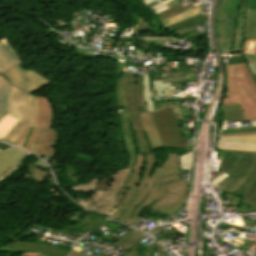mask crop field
<instances>
[{
	"label": "crop field",
	"instance_id": "8a807250",
	"mask_svg": "<svg viewBox=\"0 0 256 256\" xmlns=\"http://www.w3.org/2000/svg\"><path fill=\"white\" fill-rule=\"evenodd\" d=\"M218 172L229 175L218 189L243 197L241 204L249 205V211H256V152L222 150Z\"/></svg>",
	"mask_w": 256,
	"mask_h": 256
},
{
	"label": "crop field",
	"instance_id": "ac0d7876",
	"mask_svg": "<svg viewBox=\"0 0 256 256\" xmlns=\"http://www.w3.org/2000/svg\"><path fill=\"white\" fill-rule=\"evenodd\" d=\"M174 89L176 88L149 90V73L139 75L124 72L115 81L117 106L123 107L124 113L158 110V101L171 100L169 97Z\"/></svg>",
	"mask_w": 256,
	"mask_h": 256
},
{
	"label": "crop field",
	"instance_id": "34b2d1b8",
	"mask_svg": "<svg viewBox=\"0 0 256 256\" xmlns=\"http://www.w3.org/2000/svg\"><path fill=\"white\" fill-rule=\"evenodd\" d=\"M188 198L187 181H173L141 189L118 220L133 225L141 211L149 209L172 214Z\"/></svg>",
	"mask_w": 256,
	"mask_h": 256
},
{
	"label": "crop field",
	"instance_id": "412701ff",
	"mask_svg": "<svg viewBox=\"0 0 256 256\" xmlns=\"http://www.w3.org/2000/svg\"><path fill=\"white\" fill-rule=\"evenodd\" d=\"M113 172L116 174L100 177L93 195L84 197L78 203L112 217L133 191L132 189H123L132 174V169L116 170Z\"/></svg>",
	"mask_w": 256,
	"mask_h": 256
},
{
	"label": "crop field",
	"instance_id": "f4fd0767",
	"mask_svg": "<svg viewBox=\"0 0 256 256\" xmlns=\"http://www.w3.org/2000/svg\"><path fill=\"white\" fill-rule=\"evenodd\" d=\"M154 160L155 154L136 155L133 174L124 187L133 188L135 190L113 218L118 219L120 214L128 207L139 191L136 190V188H143L147 185L178 179L177 154H168L167 161L164 162L161 168H159L161 158L157 168H153Z\"/></svg>",
	"mask_w": 256,
	"mask_h": 256
},
{
	"label": "crop field",
	"instance_id": "dd49c442",
	"mask_svg": "<svg viewBox=\"0 0 256 256\" xmlns=\"http://www.w3.org/2000/svg\"><path fill=\"white\" fill-rule=\"evenodd\" d=\"M224 104H240L245 119L256 120V82L246 64L226 65Z\"/></svg>",
	"mask_w": 256,
	"mask_h": 256
},
{
	"label": "crop field",
	"instance_id": "e52e79f7",
	"mask_svg": "<svg viewBox=\"0 0 256 256\" xmlns=\"http://www.w3.org/2000/svg\"><path fill=\"white\" fill-rule=\"evenodd\" d=\"M35 97L11 87L9 116L19 119L2 141L14 144L28 124L34 125Z\"/></svg>",
	"mask_w": 256,
	"mask_h": 256
},
{
	"label": "crop field",
	"instance_id": "d8731c3e",
	"mask_svg": "<svg viewBox=\"0 0 256 256\" xmlns=\"http://www.w3.org/2000/svg\"><path fill=\"white\" fill-rule=\"evenodd\" d=\"M151 114L164 147H179L190 152L171 108H164Z\"/></svg>",
	"mask_w": 256,
	"mask_h": 256
},
{
	"label": "crop field",
	"instance_id": "5a996713",
	"mask_svg": "<svg viewBox=\"0 0 256 256\" xmlns=\"http://www.w3.org/2000/svg\"><path fill=\"white\" fill-rule=\"evenodd\" d=\"M9 82L21 90L31 93L33 90H37L49 83L48 79L37 73L36 71L29 69L24 70L19 65L16 67L1 73Z\"/></svg>",
	"mask_w": 256,
	"mask_h": 256
},
{
	"label": "crop field",
	"instance_id": "3316defc",
	"mask_svg": "<svg viewBox=\"0 0 256 256\" xmlns=\"http://www.w3.org/2000/svg\"><path fill=\"white\" fill-rule=\"evenodd\" d=\"M243 0H219L215 14L217 35L234 34L237 10Z\"/></svg>",
	"mask_w": 256,
	"mask_h": 256
},
{
	"label": "crop field",
	"instance_id": "28ad6ade",
	"mask_svg": "<svg viewBox=\"0 0 256 256\" xmlns=\"http://www.w3.org/2000/svg\"><path fill=\"white\" fill-rule=\"evenodd\" d=\"M0 251L3 252H37L44 256H66L69 249L55 247L53 245L33 242H13L6 245Z\"/></svg>",
	"mask_w": 256,
	"mask_h": 256
},
{
	"label": "crop field",
	"instance_id": "d1516ede",
	"mask_svg": "<svg viewBox=\"0 0 256 256\" xmlns=\"http://www.w3.org/2000/svg\"><path fill=\"white\" fill-rule=\"evenodd\" d=\"M52 149L53 129L38 128L30 151L42 155L49 162Z\"/></svg>",
	"mask_w": 256,
	"mask_h": 256
},
{
	"label": "crop field",
	"instance_id": "22f410ed",
	"mask_svg": "<svg viewBox=\"0 0 256 256\" xmlns=\"http://www.w3.org/2000/svg\"><path fill=\"white\" fill-rule=\"evenodd\" d=\"M27 155L26 152L15 147L0 152V179L12 171Z\"/></svg>",
	"mask_w": 256,
	"mask_h": 256
},
{
	"label": "crop field",
	"instance_id": "cbeb9de0",
	"mask_svg": "<svg viewBox=\"0 0 256 256\" xmlns=\"http://www.w3.org/2000/svg\"><path fill=\"white\" fill-rule=\"evenodd\" d=\"M21 63L20 57L5 39H0V73Z\"/></svg>",
	"mask_w": 256,
	"mask_h": 256
},
{
	"label": "crop field",
	"instance_id": "5142ce71",
	"mask_svg": "<svg viewBox=\"0 0 256 256\" xmlns=\"http://www.w3.org/2000/svg\"><path fill=\"white\" fill-rule=\"evenodd\" d=\"M139 116H140L144 133L151 151L153 152L157 148L163 147L159 139L151 114L144 113V114H139Z\"/></svg>",
	"mask_w": 256,
	"mask_h": 256
},
{
	"label": "crop field",
	"instance_id": "d9b57169",
	"mask_svg": "<svg viewBox=\"0 0 256 256\" xmlns=\"http://www.w3.org/2000/svg\"><path fill=\"white\" fill-rule=\"evenodd\" d=\"M189 74H191V72H162V81H153V89L182 86L183 82H185V77H183V75L187 76Z\"/></svg>",
	"mask_w": 256,
	"mask_h": 256
},
{
	"label": "crop field",
	"instance_id": "733c2abd",
	"mask_svg": "<svg viewBox=\"0 0 256 256\" xmlns=\"http://www.w3.org/2000/svg\"><path fill=\"white\" fill-rule=\"evenodd\" d=\"M132 128L136 134L140 154H150L138 114H128Z\"/></svg>",
	"mask_w": 256,
	"mask_h": 256
},
{
	"label": "crop field",
	"instance_id": "4a817a6b",
	"mask_svg": "<svg viewBox=\"0 0 256 256\" xmlns=\"http://www.w3.org/2000/svg\"><path fill=\"white\" fill-rule=\"evenodd\" d=\"M120 117H121V121H122V126H123L124 135H125L127 149H128V152L130 153V158H129L127 168H132L135 163V154H137L136 150H135V144H134V140H133V137H132V134L130 131V125H129V120H128L127 114L120 115Z\"/></svg>",
	"mask_w": 256,
	"mask_h": 256
},
{
	"label": "crop field",
	"instance_id": "bc2a9ffb",
	"mask_svg": "<svg viewBox=\"0 0 256 256\" xmlns=\"http://www.w3.org/2000/svg\"><path fill=\"white\" fill-rule=\"evenodd\" d=\"M244 10H245V0L238 11L232 53L241 51V48H242Z\"/></svg>",
	"mask_w": 256,
	"mask_h": 256
},
{
	"label": "crop field",
	"instance_id": "214f88e0",
	"mask_svg": "<svg viewBox=\"0 0 256 256\" xmlns=\"http://www.w3.org/2000/svg\"><path fill=\"white\" fill-rule=\"evenodd\" d=\"M52 122V109L49 102L40 97L39 127L50 128Z\"/></svg>",
	"mask_w": 256,
	"mask_h": 256
},
{
	"label": "crop field",
	"instance_id": "92a150f3",
	"mask_svg": "<svg viewBox=\"0 0 256 256\" xmlns=\"http://www.w3.org/2000/svg\"><path fill=\"white\" fill-rule=\"evenodd\" d=\"M4 80L0 76V121L8 113L9 92L11 87V85Z\"/></svg>",
	"mask_w": 256,
	"mask_h": 256
},
{
	"label": "crop field",
	"instance_id": "dafd665d",
	"mask_svg": "<svg viewBox=\"0 0 256 256\" xmlns=\"http://www.w3.org/2000/svg\"><path fill=\"white\" fill-rule=\"evenodd\" d=\"M146 236L139 232H135L133 229L127 232L125 236H123L118 242L115 243V245L129 250L131 247H133L135 244H137L139 241L144 239Z\"/></svg>",
	"mask_w": 256,
	"mask_h": 256
},
{
	"label": "crop field",
	"instance_id": "00972430",
	"mask_svg": "<svg viewBox=\"0 0 256 256\" xmlns=\"http://www.w3.org/2000/svg\"><path fill=\"white\" fill-rule=\"evenodd\" d=\"M207 18H208V15H201V14H199V15H197L195 17H192L190 19H186L184 21H181L179 23L173 24V25L168 26L166 28L168 30H170L172 33H174L176 31L183 30V29L192 27L194 25L201 24L203 22H207Z\"/></svg>",
	"mask_w": 256,
	"mask_h": 256
},
{
	"label": "crop field",
	"instance_id": "a9b5d70f",
	"mask_svg": "<svg viewBox=\"0 0 256 256\" xmlns=\"http://www.w3.org/2000/svg\"><path fill=\"white\" fill-rule=\"evenodd\" d=\"M218 144L256 145V135L219 138Z\"/></svg>",
	"mask_w": 256,
	"mask_h": 256
},
{
	"label": "crop field",
	"instance_id": "4177f3b9",
	"mask_svg": "<svg viewBox=\"0 0 256 256\" xmlns=\"http://www.w3.org/2000/svg\"><path fill=\"white\" fill-rule=\"evenodd\" d=\"M223 112V120L236 119V121L245 120L239 105H225L220 107Z\"/></svg>",
	"mask_w": 256,
	"mask_h": 256
},
{
	"label": "crop field",
	"instance_id": "730fd06b",
	"mask_svg": "<svg viewBox=\"0 0 256 256\" xmlns=\"http://www.w3.org/2000/svg\"><path fill=\"white\" fill-rule=\"evenodd\" d=\"M234 35L217 36L220 53L231 54Z\"/></svg>",
	"mask_w": 256,
	"mask_h": 256
},
{
	"label": "crop field",
	"instance_id": "eef30255",
	"mask_svg": "<svg viewBox=\"0 0 256 256\" xmlns=\"http://www.w3.org/2000/svg\"><path fill=\"white\" fill-rule=\"evenodd\" d=\"M30 168L26 173L25 175L23 176V178H27V179H30V180H34L36 181V179L38 177L44 179V180H48V179H51V175L50 173L48 172H42L40 171L39 169L35 168L34 166L30 165ZM50 182V180H49ZM51 183V182H50Z\"/></svg>",
	"mask_w": 256,
	"mask_h": 256
},
{
	"label": "crop field",
	"instance_id": "ae1a2a85",
	"mask_svg": "<svg viewBox=\"0 0 256 256\" xmlns=\"http://www.w3.org/2000/svg\"><path fill=\"white\" fill-rule=\"evenodd\" d=\"M244 37L256 39V20L245 19Z\"/></svg>",
	"mask_w": 256,
	"mask_h": 256
},
{
	"label": "crop field",
	"instance_id": "d3111659",
	"mask_svg": "<svg viewBox=\"0 0 256 256\" xmlns=\"http://www.w3.org/2000/svg\"><path fill=\"white\" fill-rule=\"evenodd\" d=\"M17 119H14L9 116H5L0 122V140L3 136L9 131V129L15 124Z\"/></svg>",
	"mask_w": 256,
	"mask_h": 256
},
{
	"label": "crop field",
	"instance_id": "750c4746",
	"mask_svg": "<svg viewBox=\"0 0 256 256\" xmlns=\"http://www.w3.org/2000/svg\"><path fill=\"white\" fill-rule=\"evenodd\" d=\"M200 8L192 10V11L187 12V13H184V14H182L180 16H177L175 18H172V19H170L168 21H165V22H163V25H164V27H166V26L171 25L173 23L179 22V21L184 20L186 18H190V17H192L194 15H197V14L200 13Z\"/></svg>",
	"mask_w": 256,
	"mask_h": 256
},
{
	"label": "crop field",
	"instance_id": "bd1437ed",
	"mask_svg": "<svg viewBox=\"0 0 256 256\" xmlns=\"http://www.w3.org/2000/svg\"><path fill=\"white\" fill-rule=\"evenodd\" d=\"M250 124H251V127H235V128L222 130L221 135L232 134V133H240V132L256 131V121H250Z\"/></svg>",
	"mask_w": 256,
	"mask_h": 256
},
{
	"label": "crop field",
	"instance_id": "1d83c4d3",
	"mask_svg": "<svg viewBox=\"0 0 256 256\" xmlns=\"http://www.w3.org/2000/svg\"><path fill=\"white\" fill-rule=\"evenodd\" d=\"M105 221H106L105 218L93 215L91 220L89 221V223L86 226H84V227H82V228H80L78 230H86V231H88V230H91L93 228H96L98 226L103 225Z\"/></svg>",
	"mask_w": 256,
	"mask_h": 256
},
{
	"label": "crop field",
	"instance_id": "120bbe31",
	"mask_svg": "<svg viewBox=\"0 0 256 256\" xmlns=\"http://www.w3.org/2000/svg\"><path fill=\"white\" fill-rule=\"evenodd\" d=\"M98 178L92 179L90 182L83 184V185H78V186H73V188L77 193L81 192H87V191H93L96 183H97Z\"/></svg>",
	"mask_w": 256,
	"mask_h": 256
},
{
	"label": "crop field",
	"instance_id": "d32e631a",
	"mask_svg": "<svg viewBox=\"0 0 256 256\" xmlns=\"http://www.w3.org/2000/svg\"><path fill=\"white\" fill-rule=\"evenodd\" d=\"M218 148L228 150L256 151V146L218 145Z\"/></svg>",
	"mask_w": 256,
	"mask_h": 256
},
{
	"label": "crop field",
	"instance_id": "5866460e",
	"mask_svg": "<svg viewBox=\"0 0 256 256\" xmlns=\"http://www.w3.org/2000/svg\"><path fill=\"white\" fill-rule=\"evenodd\" d=\"M38 107H39V97H36V109H35V127H34V130L32 132V135L30 137V140L27 144V147H26V150H30V147H31V144H32V141H33V138H34V135H35V132H36V129L38 127Z\"/></svg>",
	"mask_w": 256,
	"mask_h": 256
},
{
	"label": "crop field",
	"instance_id": "028f5c9d",
	"mask_svg": "<svg viewBox=\"0 0 256 256\" xmlns=\"http://www.w3.org/2000/svg\"><path fill=\"white\" fill-rule=\"evenodd\" d=\"M200 6H202V4H200V5H198V6H195V7H192V8H190V9H188L189 6H187V7H185L184 9H181V10L175 12V13L166 15V16L161 17V18H159V19L163 22V21H165V20H167V19H170V18H172V17H175V16H177V15H179V14H182V13H184V12H187V11H189V10L195 9V8H197V7H200Z\"/></svg>",
	"mask_w": 256,
	"mask_h": 256
},
{
	"label": "crop field",
	"instance_id": "e1f06a70",
	"mask_svg": "<svg viewBox=\"0 0 256 256\" xmlns=\"http://www.w3.org/2000/svg\"><path fill=\"white\" fill-rule=\"evenodd\" d=\"M169 1H171V0H166V1H164V2L154 6L152 8H149V9L151 11H153L154 13H158V12H160L162 10H165V9L169 8L168 5L171 4Z\"/></svg>",
	"mask_w": 256,
	"mask_h": 256
},
{
	"label": "crop field",
	"instance_id": "0bd39190",
	"mask_svg": "<svg viewBox=\"0 0 256 256\" xmlns=\"http://www.w3.org/2000/svg\"><path fill=\"white\" fill-rule=\"evenodd\" d=\"M181 8H183V6L181 4H178V5H176V6L172 7V8H169V9H167L165 11H162V12L156 14V16L159 18V17L164 16L166 14L175 12V11L181 9Z\"/></svg>",
	"mask_w": 256,
	"mask_h": 256
},
{
	"label": "crop field",
	"instance_id": "b80d0937",
	"mask_svg": "<svg viewBox=\"0 0 256 256\" xmlns=\"http://www.w3.org/2000/svg\"><path fill=\"white\" fill-rule=\"evenodd\" d=\"M34 126H30V128L28 129L27 133L25 134V136L23 137L22 141L20 142L19 146L20 148H25L27 142H28V139L31 135V132H32V129H33Z\"/></svg>",
	"mask_w": 256,
	"mask_h": 256
},
{
	"label": "crop field",
	"instance_id": "c035e120",
	"mask_svg": "<svg viewBox=\"0 0 256 256\" xmlns=\"http://www.w3.org/2000/svg\"><path fill=\"white\" fill-rule=\"evenodd\" d=\"M148 241V240H147ZM147 241L143 242L141 245H139L137 248H139L140 246H142L144 243H146ZM137 248H135L134 250L130 251L129 253H127L125 256H133L134 254H136L138 251L136 250ZM69 256H89V255H85V254H81L78 252H74L72 251L70 253Z\"/></svg>",
	"mask_w": 256,
	"mask_h": 256
},
{
	"label": "crop field",
	"instance_id": "c21b1889",
	"mask_svg": "<svg viewBox=\"0 0 256 256\" xmlns=\"http://www.w3.org/2000/svg\"><path fill=\"white\" fill-rule=\"evenodd\" d=\"M237 63H244L241 54L232 56L231 63H228V64H237Z\"/></svg>",
	"mask_w": 256,
	"mask_h": 256
},
{
	"label": "crop field",
	"instance_id": "03da06ac",
	"mask_svg": "<svg viewBox=\"0 0 256 256\" xmlns=\"http://www.w3.org/2000/svg\"><path fill=\"white\" fill-rule=\"evenodd\" d=\"M245 18L256 19V11L246 9Z\"/></svg>",
	"mask_w": 256,
	"mask_h": 256
},
{
	"label": "crop field",
	"instance_id": "b54c1fbb",
	"mask_svg": "<svg viewBox=\"0 0 256 256\" xmlns=\"http://www.w3.org/2000/svg\"><path fill=\"white\" fill-rule=\"evenodd\" d=\"M246 8L256 10V0H246Z\"/></svg>",
	"mask_w": 256,
	"mask_h": 256
},
{
	"label": "crop field",
	"instance_id": "5d738f31",
	"mask_svg": "<svg viewBox=\"0 0 256 256\" xmlns=\"http://www.w3.org/2000/svg\"><path fill=\"white\" fill-rule=\"evenodd\" d=\"M34 164H36L38 167L46 170L48 169L49 167L47 166L46 163H44L43 161H41L40 159H38V161L34 162Z\"/></svg>",
	"mask_w": 256,
	"mask_h": 256
},
{
	"label": "crop field",
	"instance_id": "d23c7cc5",
	"mask_svg": "<svg viewBox=\"0 0 256 256\" xmlns=\"http://www.w3.org/2000/svg\"><path fill=\"white\" fill-rule=\"evenodd\" d=\"M243 55H245L248 62H256V55L246 53H243Z\"/></svg>",
	"mask_w": 256,
	"mask_h": 256
},
{
	"label": "crop field",
	"instance_id": "425ffa30",
	"mask_svg": "<svg viewBox=\"0 0 256 256\" xmlns=\"http://www.w3.org/2000/svg\"><path fill=\"white\" fill-rule=\"evenodd\" d=\"M252 74H256V63H246Z\"/></svg>",
	"mask_w": 256,
	"mask_h": 256
},
{
	"label": "crop field",
	"instance_id": "25e5ab78",
	"mask_svg": "<svg viewBox=\"0 0 256 256\" xmlns=\"http://www.w3.org/2000/svg\"><path fill=\"white\" fill-rule=\"evenodd\" d=\"M248 211V206H244V205H239V209L237 213H244Z\"/></svg>",
	"mask_w": 256,
	"mask_h": 256
},
{
	"label": "crop field",
	"instance_id": "73cf0c24",
	"mask_svg": "<svg viewBox=\"0 0 256 256\" xmlns=\"http://www.w3.org/2000/svg\"><path fill=\"white\" fill-rule=\"evenodd\" d=\"M252 134H256V132L240 133V134H232V135H224V136H220V137H225V136H237V135H252Z\"/></svg>",
	"mask_w": 256,
	"mask_h": 256
},
{
	"label": "crop field",
	"instance_id": "89e229c0",
	"mask_svg": "<svg viewBox=\"0 0 256 256\" xmlns=\"http://www.w3.org/2000/svg\"><path fill=\"white\" fill-rule=\"evenodd\" d=\"M10 146L0 142V150H7Z\"/></svg>",
	"mask_w": 256,
	"mask_h": 256
},
{
	"label": "crop field",
	"instance_id": "1f2cbd36",
	"mask_svg": "<svg viewBox=\"0 0 256 256\" xmlns=\"http://www.w3.org/2000/svg\"><path fill=\"white\" fill-rule=\"evenodd\" d=\"M191 161L182 166V169L189 170Z\"/></svg>",
	"mask_w": 256,
	"mask_h": 256
},
{
	"label": "crop field",
	"instance_id": "dbb93151",
	"mask_svg": "<svg viewBox=\"0 0 256 256\" xmlns=\"http://www.w3.org/2000/svg\"><path fill=\"white\" fill-rule=\"evenodd\" d=\"M29 128V125L27 126V128L25 129V131L23 132L22 136L20 137V139L18 140V142L16 143V146H18L19 142L21 141L22 137L24 136V134L26 133L27 129Z\"/></svg>",
	"mask_w": 256,
	"mask_h": 256
},
{
	"label": "crop field",
	"instance_id": "0fb4a251",
	"mask_svg": "<svg viewBox=\"0 0 256 256\" xmlns=\"http://www.w3.org/2000/svg\"><path fill=\"white\" fill-rule=\"evenodd\" d=\"M154 1H156V0H145V1H143V3H144L145 5H147V4H149V3H151V2H154Z\"/></svg>",
	"mask_w": 256,
	"mask_h": 256
},
{
	"label": "crop field",
	"instance_id": "1d79db26",
	"mask_svg": "<svg viewBox=\"0 0 256 256\" xmlns=\"http://www.w3.org/2000/svg\"><path fill=\"white\" fill-rule=\"evenodd\" d=\"M203 256H208V254L204 253Z\"/></svg>",
	"mask_w": 256,
	"mask_h": 256
},
{
	"label": "crop field",
	"instance_id": "9d1cf04e",
	"mask_svg": "<svg viewBox=\"0 0 256 256\" xmlns=\"http://www.w3.org/2000/svg\"><path fill=\"white\" fill-rule=\"evenodd\" d=\"M254 76V78H255V80H256V75H253Z\"/></svg>",
	"mask_w": 256,
	"mask_h": 256
},
{
	"label": "crop field",
	"instance_id": "447ae74e",
	"mask_svg": "<svg viewBox=\"0 0 256 256\" xmlns=\"http://www.w3.org/2000/svg\"><path fill=\"white\" fill-rule=\"evenodd\" d=\"M140 1H142V0H140Z\"/></svg>",
	"mask_w": 256,
	"mask_h": 256
}]
</instances>
